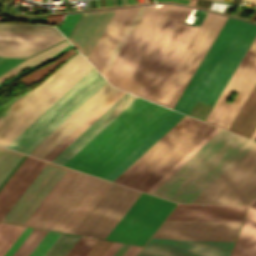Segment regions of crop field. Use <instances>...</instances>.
<instances>
[{"instance_id":"obj_6","label":"crop field","mask_w":256,"mask_h":256,"mask_svg":"<svg viewBox=\"0 0 256 256\" xmlns=\"http://www.w3.org/2000/svg\"><path fill=\"white\" fill-rule=\"evenodd\" d=\"M214 129L185 116L114 182L146 191Z\"/></svg>"},{"instance_id":"obj_25","label":"crop field","mask_w":256,"mask_h":256,"mask_svg":"<svg viewBox=\"0 0 256 256\" xmlns=\"http://www.w3.org/2000/svg\"><path fill=\"white\" fill-rule=\"evenodd\" d=\"M68 45H70L68 43L67 40L21 62L20 64H18L17 66L13 67L12 69H10L9 71L5 72L4 74L0 75V82L12 77L13 75L21 72L22 70L33 66L51 56H53L54 54H56L57 52H59L60 50L64 49L65 47H67Z\"/></svg>"},{"instance_id":"obj_26","label":"crop field","mask_w":256,"mask_h":256,"mask_svg":"<svg viewBox=\"0 0 256 256\" xmlns=\"http://www.w3.org/2000/svg\"><path fill=\"white\" fill-rule=\"evenodd\" d=\"M0 31L62 36L56 29L51 27L20 23H0Z\"/></svg>"},{"instance_id":"obj_9","label":"crop field","mask_w":256,"mask_h":256,"mask_svg":"<svg viewBox=\"0 0 256 256\" xmlns=\"http://www.w3.org/2000/svg\"><path fill=\"white\" fill-rule=\"evenodd\" d=\"M225 19V16L208 12L155 102L173 108Z\"/></svg>"},{"instance_id":"obj_42","label":"crop field","mask_w":256,"mask_h":256,"mask_svg":"<svg viewBox=\"0 0 256 256\" xmlns=\"http://www.w3.org/2000/svg\"><path fill=\"white\" fill-rule=\"evenodd\" d=\"M22 60L19 59H7V58H0V74L7 69L11 68L15 64L19 63Z\"/></svg>"},{"instance_id":"obj_31","label":"crop field","mask_w":256,"mask_h":256,"mask_svg":"<svg viewBox=\"0 0 256 256\" xmlns=\"http://www.w3.org/2000/svg\"><path fill=\"white\" fill-rule=\"evenodd\" d=\"M146 6H140L139 10L137 11L136 15L134 16L133 20L131 21L130 25L128 26L127 30L125 31L124 35L122 36L120 42L118 43L117 47L115 48L114 52L112 53L111 57L109 58L108 62L106 63L105 67L103 68L101 74L105 76L106 72L108 71L109 67L111 66L112 62L116 58L117 54L119 53L120 49L122 48L123 44L125 43L126 39L128 38L129 34L131 33L132 29L134 28L135 24L139 20L140 16L142 15L143 11L145 10Z\"/></svg>"},{"instance_id":"obj_43","label":"crop field","mask_w":256,"mask_h":256,"mask_svg":"<svg viewBox=\"0 0 256 256\" xmlns=\"http://www.w3.org/2000/svg\"><path fill=\"white\" fill-rule=\"evenodd\" d=\"M37 231H38L37 229H34L33 232L31 231L32 233L29 235V237L27 236L28 238L26 237L27 239L24 241V243L22 242L23 244L20 246V248L18 247L19 249L16 251V253L14 252L15 254L13 256H18L20 254V252L24 249V247L28 244V242L37 233Z\"/></svg>"},{"instance_id":"obj_24","label":"crop field","mask_w":256,"mask_h":256,"mask_svg":"<svg viewBox=\"0 0 256 256\" xmlns=\"http://www.w3.org/2000/svg\"><path fill=\"white\" fill-rule=\"evenodd\" d=\"M64 37L0 32V45L46 48Z\"/></svg>"},{"instance_id":"obj_34","label":"crop field","mask_w":256,"mask_h":256,"mask_svg":"<svg viewBox=\"0 0 256 256\" xmlns=\"http://www.w3.org/2000/svg\"><path fill=\"white\" fill-rule=\"evenodd\" d=\"M60 234L59 232L48 231L29 256H43Z\"/></svg>"},{"instance_id":"obj_45","label":"crop field","mask_w":256,"mask_h":256,"mask_svg":"<svg viewBox=\"0 0 256 256\" xmlns=\"http://www.w3.org/2000/svg\"><path fill=\"white\" fill-rule=\"evenodd\" d=\"M121 244L114 242L104 256H112Z\"/></svg>"},{"instance_id":"obj_29","label":"crop field","mask_w":256,"mask_h":256,"mask_svg":"<svg viewBox=\"0 0 256 256\" xmlns=\"http://www.w3.org/2000/svg\"><path fill=\"white\" fill-rule=\"evenodd\" d=\"M22 156L23 154L0 148V184Z\"/></svg>"},{"instance_id":"obj_23","label":"crop field","mask_w":256,"mask_h":256,"mask_svg":"<svg viewBox=\"0 0 256 256\" xmlns=\"http://www.w3.org/2000/svg\"><path fill=\"white\" fill-rule=\"evenodd\" d=\"M247 99V98H246ZM256 128V85L244 103L229 131L249 137Z\"/></svg>"},{"instance_id":"obj_33","label":"crop field","mask_w":256,"mask_h":256,"mask_svg":"<svg viewBox=\"0 0 256 256\" xmlns=\"http://www.w3.org/2000/svg\"><path fill=\"white\" fill-rule=\"evenodd\" d=\"M42 49L38 48H25V47H12L0 46V56L26 58Z\"/></svg>"},{"instance_id":"obj_28","label":"crop field","mask_w":256,"mask_h":256,"mask_svg":"<svg viewBox=\"0 0 256 256\" xmlns=\"http://www.w3.org/2000/svg\"><path fill=\"white\" fill-rule=\"evenodd\" d=\"M80 237L62 233L44 256H65Z\"/></svg>"},{"instance_id":"obj_47","label":"crop field","mask_w":256,"mask_h":256,"mask_svg":"<svg viewBox=\"0 0 256 256\" xmlns=\"http://www.w3.org/2000/svg\"><path fill=\"white\" fill-rule=\"evenodd\" d=\"M255 137H256V130L254 131V133L252 134V136H251V139H255Z\"/></svg>"},{"instance_id":"obj_44","label":"crop field","mask_w":256,"mask_h":256,"mask_svg":"<svg viewBox=\"0 0 256 256\" xmlns=\"http://www.w3.org/2000/svg\"><path fill=\"white\" fill-rule=\"evenodd\" d=\"M141 247L131 245L130 248L125 252L123 256H135Z\"/></svg>"},{"instance_id":"obj_2","label":"crop field","mask_w":256,"mask_h":256,"mask_svg":"<svg viewBox=\"0 0 256 256\" xmlns=\"http://www.w3.org/2000/svg\"><path fill=\"white\" fill-rule=\"evenodd\" d=\"M191 8L147 6L106 78L154 101L197 28L182 25Z\"/></svg>"},{"instance_id":"obj_40","label":"crop field","mask_w":256,"mask_h":256,"mask_svg":"<svg viewBox=\"0 0 256 256\" xmlns=\"http://www.w3.org/2000/svg\"><path fill=\"white\" fill-rule=\"evenodd\" d=\"M71 47H73V46H71V45L68 46L67 48H65V49L62 50L61 52L57 53L56 55H54V56L51 57L50 59H48V60H46V61H44V62H42V63H40V64H38V65H36V66H34V67H32V68H30V69H28V70H26V71H24V72H22V73H20V74H18V75H16V76H14V77H12V78H10V79H8V80H6V81L0 83V88L3 87V86H5L6 84H8V83H10V82H12V81H14V80H16L17 78L21 77L22 75L28 73L29 71L33 70L34 68H36V67H38V66H40V65H42V64H44V63H46V62H48V61H50V60H52L53 58H55L56 56L60 55L61 53H63L64 51H66L67 49H69V48H71ZM56 58H57V57H56Z\"/></svg>"},{"instance_id":"obj_14","label":"crop field","mask_w":256,"mask_h":256,"mask_svg":"<svg viewBox=\"0 0 256 256\" xmlns=\"http://www.w3.org/2000/svg\"><path fill=\"white\" fill-rule=\"evenodd\" d=\"M233 243L150 239L137 256H229Z\"/></svg>"},{"instance_id":"obj_48","label":"crop field","mask_w":256,"mask_h":256,"mask_svg":"<svg viewBox=\"0 0 256 256\" xmlns=\"http://www.w3.org/2000/svg\"><path fill=\"white\" fill-rule=\"evenodd\" d=\"M250 206L256 207V200Z\"/></svg>"},{"instance_id":"obj_8","label":"crop field","mask_w":256,"mask_h":256,"mask_svg":"<svg viewBox=\"0 0 256 256\" xmlns=\"http://www.w3.org/2000/svg\"><path fill=\"white\" fill-rule=\"evenodd\" d=\"M106 82L93 68L8 148L28 154Z\"/></svg>"},{"instance_id":"obj_27","label":"crop field","mask_w":256,"mask_h":256,"mask_svg":"<svg viewBox=\"0 0 256 256\" xmlns=\"http://www.w3.org/2000/svg\"><path fill=\"white\" fill-rule=\"evenodd\" d=\"M24 228L23 226L0 223V256L6 252Z\"/></svg>"},{"instance_id":"obj_49","label":"crop field","mask_w":256,"mask_h":256,"mask_svg":"<svg viewBox=\"0 0 256 256\" xmlns=\"http://www.w3.org/2000/svg\"><path fill=\"white\" fill-rule=\"evenodd\" d=\"M249 1H252V2L256 3V0H249Z\"/></svg>"},{"instance_id":"obj_11","label":"crop field","mask_w":256,"mask_h":256,"mask_svg":"<svg viewBox=\"0 0 256 256\" xmlns=\"http://www.w3.org/2000/svg\"><path fill=\"white\" fill-rule=\"evenodd\" d=\"M255 84L256 37L209 112L205 122L228 130ZM232 91L237 92L233 102H226Z\"/></svg>"},{"instance_id":"obj_4","label":"crop field","mask_w":256,"mask_h":256,"mask_svg":"<svg viewBox=\"0 0 256 256\" xmlns=\"http://www.w3.org/2000/svg\"><path fill=\"white\" fill-rule=\"evenodd\" d=\"M255 36V25L228 18L174 110L189 115L196 100L213 105Z\"/></svg>"},{"instance_id":"obj_1","label":"crop field","mask_w":256,"mask_h":256,"mask_svg":"<svg viewBox=\"0 0 256 256\" xmlns=\"http://www.w3.org/2000/svg\"><path fill=\"white\" fill-rule=\"evenodd\" d=\"M152 194L178 203L249 205L256 199V143L221 130Z\"/></svg>"},{"instance_id":"obj_18","label":"crop field","mask_w":256,"mask_h":256,"mask_svg":"<svg viewBox=\"0 0 256 256\" xmlns=\"http://www.w3.org/2000/svg\"><path fill=\"white\" fill-rule=\"evenodd\" d=\"M47 162L27 156L0 190V221L33 182Z\"/></svg>"},{"instance_id":"obj_39","label":"crop field","mask_w":256,"mask_h":256,"mask_svg":"<svg viewBox=\"0 0 256 256\" xmlns=\"http://www.w3.org/2000/svg\"><path fill=\"white\" fill-rule=\"evenodd\" d=\"M47 231L39 230L38 233L34 236V238L29 242V244L25 247V249L21 252L19 256H28L29 253L33 250V248L38 244V242L42 239V237L46 234Z\"/></svg>"},{"instance_id":"obj_22","label":"crop field","mask_w":256,"mask_h":256,"mask_svg":"<svg viewBox=\"0 0 256 256\" xmlns=\"http://www.w3.org/2000/svg\"><path fill=\"white\" fill-rule=\"evenodd\" d=\"M256 255V209L248 207L231 256Z\"/></svg>"},{"instance_id":"obj_35","label":"crop field","mask_w":256,"mask_h":256,"mask_svg":"<svg viewBox=\"0 0 256 256\" xmlns=\"http://www.w3.org/2000/svg\"><path fill=\"white\" fill-rule=\"evenodd\" d=\"M96 241V239L81 237L75 246L73 245L74 247L71 249V251L69 250L70 252L67 254V256H85Z\"/></svg>"},{"instance_id":"obj_19","label":"crop field","mask_w":256,"mask_h":256,"mask_svg":"<svg viewBox=\"0 0 256 256\" xmlns=\"http://www.w3.org/2000/svg\"><path fill=\"white\" fill-rule=\"evenodd\" d=\"M115 9L83 13L69 40L87 58Z\"/></svg>"},{"instance_id":"obj_36","label":"crop field","mask_w":256,"mask_h":256,"mask_svg":"<svg viewBox=\"0 0 256 256\" xmlns=\"http://www.w3.org/2000/svg\"><path fill=\"white\" fill-rule=\"evenodd\" d=\"M81 14H74V15H66L64 21L59 26V30L62 34L67 38L68 34L72 30L73 26L75 25L76 21L80 17Z\"/></svg>"},{"instance_id":"obj_13","label":"crop field","mask_w":256,"mask_h":256,"mask_svg":"<svg viewBox=\"0 0 256 256\" xmlns=\"http://www.w3.org/2000/svg\"><path fill=\"white\" fill-rule=\"evenodd\" d=\"M241 223L165 220L152 238L234 241Z\"/></svg>"},{"instance_id":"obj_30","label":"crop field","mask_w":256,"mask_h":256,"mask_svg":"<svg viewBox=\"0 0 256 256\" xmlns=\"http://www.w3.org/2000/svg\"><path fill=\"white\" fill-rule=\"evenodd\" d=\"M73 53L75 52L73 51L72 48L67 50L66 53L57 61L30 73L29 75L23 77L19 81L26 86L36 82L38 79H40L42 76H44L46 73H48L50 70H52L55 66H57L59 63H61L64 59H66L68 56L72 55Z\"/></svg>"},{"instance_id":"obj_21","label":"crop field","mask_w":256,"mask_h":256,"mask_svg":"<svg viewBox=\"0 0 256 256\" xmlns=\"http://www.w3.org/2000/svg\"><path fill=\"white\" fill-rule=\"evenodd\" d=\"M183 117L184 115L175 112L104 178L113 181Z\"/></svg>"},{"instance_id":"obj_7","label":"crop field","mask_w":256,"mask_h":256,"mask_svg":"<svg viewBox=\"0 0 256 256\" xmlns=\"http://www.w3.org/2000/svg\"><path fill=\"white\" fill-rule=\"evenodd\" d=\"M93 67L78 53L30 91L0 127V145L7 147Z\"/></svg>"},{"instance_id":"obj_5","label":"crop field","mask_w":256,"mask_h":256,"mask_svg":"<svg viewBox=\"0 0 256 256\" xmlns=\"http://www.w3.org/2000/svg\"><path fill=\"white\" fill-rule=\"evenodd\" d=\"M111 184L67 169L23 225L72 233Z\"/></svg>"},{"instance_id":"obj_41","label":"crop field","mask_w":256,"mask_h":256,"mask_svg":"<svg viewBox=\"0 0 256 256\" xmlns=\"http://www.w3.org/2000/svg\"><path fill=\"white\" fill-rule=\"evenodd\" d=\"M28 92L22 94L18 97L0 116V125L5 121V119L11 114V112L16 108V106L21 102V100L26 96Z\"/></svg>"},{"instance_id":"obj_16","label":"crop field","mask_w":256,"mask_h":256,"mask_svg":"<svg viewBox=\"0 0 256 256\" xmlns=\"http://www.w3.org/2000/svg\"><path fill=\"white\" fill-rule=\"evenodd\" d=\"M116 91L117 89L112 88L107 82L34 150H32L29 155L42 158Z\"/></svg>"},{"instance_id":"obj_20","label":"crop field","mask_w":256,"mask_h":256,"mask_svg":"<svg viewBox=\"0 0 256 256\" xmlns=\"http://www.w3.org/2000/svg\"><path fill=\"white\" fill-rule=\"evenodd\" d=\"M246 207L178 204L167 219L241 222Z\"/></svg>"},{"instance_id":"obj_51","label":"crop field","mask_w":256,"mask_h":256,"mask_svg":"<svg viewBox=\"0 0 256 256\" xmlns=\"http://www.w3.org/2000/svg\"><path fill=\"white\" fill-rule=\"evenodd\" d=\"M247 1V0H246Z\"/></svg>"},{"instance_id":"obj_37","label":"crop field","mask_w":256,"mask_h":256,"mask_svg":"<svg viewBox=\"0 0 256 256\" xmlns=\"http://www.w3.org/2000/svg\"><path fill=\"white\" fill-rule=\"evenodd\" d=\"M112 243L110 241L98 240L86 256H103Z\"/></svg>"},{"instance_id":"obj_3","label":"crop field","mask_w":256,"mask_h":256,"mask_svg":"<svg viewBox=\"0 0 256 256\" xmlns=\"http://www.w3.org/2000/svg\"><path fill=\"white\" fill-rule=\"evenodd\" d=\"M173 113L126 93L52 161L103 178Z\"/></svg>"},{"instance_id":"obj_50","label":"crop field","mask_w":256,"mask_h":256,"mask_svg":"<svg viewBox=\"0 0 256 256\" xmlns=\"http://www.w3.org/2000/svg\"><path fill=\"white\" fill-rule=\"evenodd\" d=\"M218 1H220V0H218Z\"/></svg>"},{"instance_id":"obj_38","label":"crop field","mask_w":256,"mask_h":256,"mask_svg":"<svg viewBox=\"0 0 256 256\" xmlns=\"http://www.w3.org/2000/svg\"><path fill=\"white\" fill-rule=\"evenodd\" d=\"M32 230V228L26 227L25 230L21 233V235L16 239V241L12 244V246L3 256H12L14 252L18 249V247L22 244V242L26 239V237L31 233Z\"/></svg>"},{"instance_id":"obj_15","label":"crop field","mask_w":256,"mask_h":256,"mask_svg":"<svg viewBox=\"0 0 256 256\" xmlns=\"http://www.w3.org/2000/svg\"><path fill=\"white\" fill-rule=\"evenodd\" d=\"M65 170L48 163L2 221L22 225Z\"/></svg>"},{"instance_id":"obj_10","label":"crop field","mask_w":256,"mask_h":256,"mask_svg":"<svg viewBox=\"0 0 256 256\" xmlns=\"http://www.w3.org/2000/svg\"><path fill=\"white\" fill-rule=\"evenodd\" d=\"M175 205L142 193L105 239L144 245Z\"/></svg>"},{"instance_id":"obj_46","label":"crop field","mask_w":256,"mask_h":256,"mask_svg":"<svg viewBox=\"0 0 256 256\" xmlns=\"http://www.w3.org/2000/svg\"><path fill=\"white\" fill-rule=\"evenodd\" d=\"M130 245L122 244L121 247L117 250V252L113 256H122L124 252L129 248Z\"/></svg>"},{"instance_id":"obj_32","label":"crop field","mask_w":256,"mask_h":256,"mask_svg":"<svg viewBox=\"0 0 256 256\" xmlns=\"http://www.w3.org/2000/svg\"><path fill=\"white\" fill-rule=\"evenodd\" d=\"M220 129L216 128L210 133L202 142H200L192 151H190L182 160H180L172 169H170L162 178H160L147 192L151 193L157 188L165 179H167L175 170H177L185 161H187L195 152H197L206 142H208Z\"/></svg>"},{"instance_id":"obj_17","label":"crop field","mask_w":256,"mask_h":256,"mask_svg":"<svg viewBox=\"0 0 256 256\" xmlns=\"http://www.w3.org/2000/svg\"><path fill=\"white\" fill-rule=\"evenodd\" d=\"M138 8L139 6L116 9L87 58L99 71L104 67Z\"/></svg>"},{"instance_id":"obj_12","label":"crop field","mask_w":256,"mask_h":256,"mask_svg":"<svg viewBox=\"0 0 256 256\" xmlns=\"http://www.w3.org/2000/svg\"><path fill=\"white\" fill-rule=\"evenodd\" d=\"M140 194L113 183L73 233L104 239Z\"/></svg>"}]
</instances>
